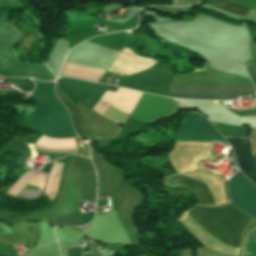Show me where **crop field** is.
<instances>
[{
    "instance_id": "7",
    "label": "crop field",
    "mask_w": 256,
    "mask_h": 256,
    "mask_svg": "<svg viewBox=\"0 0 256 256\" xmlns=\"http://www.w3.org/2000/svg\"><path fill=\"white\" fill-rule=\"evenodd\" d=\"M233 178V177H232ZM231 202L248 215H256V187L240 172L229 181Z\"/></svg>"
},
{
    "instance_id": "1",
    "label": "crop field",
    "mask_w": 256,
    "mask_h": 256,
    "mask_svg": "<svg viewBox=\"0 0 256 256\" xmlns=\"http://www.w3.org/2000/svg\"><path fill=\"white\" fill-rule=\"evenodd\" d=\"M187 211L220 242L235 247H240L243 232L252 220L231 202L222 207L195 206Z\"/></svg>"
},
{
    "instance_id": "12",
    "label": "crop field",
    "mask_w": 256,
    "mask_h": 256,
    "mask_svg": "<svg viewBox=\"0 0 256 256\" xmlns=\"http://www.w3.org/2000/svg\"><path fill=\"white\" fill-rule=\"evenodd\" d=\"M35 173L25 172L24 175L10 188L9 193L16 195ZM46 175L37 174L29 185L42 187ZM40 192L23 190L19 196L38 197Z\"/></svg>"
},
{
    "instance_id": "17",
    "label": "crop field",
    "mask_w": 256,
    "mask_h": 256,
    "mask_svg": "<svg viewBox=\"0 0 256 256\" xmlns=\"http://www.w3.org/2000/svg\"><path fill=\"white\" fill-rule=\"evenodd\" d=\"M54 226H80L81 216L78 215H68L61 216L56 220L52 221Z\"/></svg>"
},
{
    "instance_id": "9",
    "label": "crop field",
    "mask_w": 256,
    "mask_h": 256,
    "mask_svg": "<svg viewBox=\"0 0 256 256\" xmlns=\"http://www.w3.org/2000/svg\"><path fill=\"white\" fill-rule=\"evenodd\" d=\"M80 175L82 199H95L96 175L89 159L74 158Z\"/></svg>"
},
{
    "instance_id": "2",
    "label": "crop field",
    "mask_w": 256,
    "mask_h": 256,
    "mask_svg": "<svg viewBox=\"0 0 256 256\" xmlns=\"http://www.w3.org/2000/svg\"><path fill=\"white\" fill-rule=\"evenodd\" d=\"M34 81L36 88L32 96L38 105V112L30 128L50 137L76 136L70 123L69 112L53 93L54 82Z\"/></svg>"
},
{
    "instance_id": "4",
    "label": "crop field",
    "mask_w": 256,
    "mask_h": 256,
    "mask_svg": "<svg viewBox=\"0 0 256 256\" xmlns=\"http://www.w3.org/2000/svg\"><path fill=\"white\" fill-rule=\"evenodd\" d=\"M18 33L8 22L0 21V76L32 77L48 81L54 78L48 70L17 63L8 55V48Z\"/></svg>"
},
{
    "instance_id": "16",
    "label": "crop field",
    "mask_w": 256,
    "mask_h": 256,
    "mask_svg": "<svg viewBox=\"0 0 256 256\" xmlns=\"http://www.w3.org/2000/svg\"><path fill=\"white\" fill-rule=\"evenodd\" d=\"M215 7L226 10L228 12L240 14V15H248L250 12V8L242 7L239 5H235L229 2H219L217 4H214Z\"/></svg>"
},
{
    "instance_id": "3",
    "label": "crop field",
    "mask_w": 256,
    "mask_h": 256,
    "mask_svg": "<svg viewBox=\"0 0 256 256\" xmlns=\"http://www.w3.org/2000/svg\"><path fill=\"white\" fill-rule=\"evenodd\" d=\"M237 94H255L253 84L216 85L172 83L168 96L187 99L230 100L238 98Z\"/></svg>"
},
{
    "instance_id": "5",
    "label": "crop field",
    "mask_w": 256,
    "mask_h": 256,
    "mask_svg": "<svg viewBox=\"0 0 256 256\" xmlns=\"http://www.w3.org/2000/svg\"><path fill=\"white\" fill-rule=\"evenodd\" d=\"M141 95L138 91L119 88L116 93L106 91L102 99L131 113ZM107 106L108 103L99 99L93 109L103 114ZM127 113L109 104L104 116L124 124L130 114Z\"/></svg>"
},
{
    "instance_id": "11",
    "label": "crop field",
    "mask_w": 256,
    "mask_h": 256,
    "mask_svg": "<svg viewBox=\"0 0 256 256\" xmlns=\"http://www.w3.org/2000/svg\"><path fill=\"white\" fill-rule=\"evenodd\" d=\"M92 160L98 173V198L110 196V173L103 156L91 148Z\"/></svg>"
},
{
    "instance_id": "14",
    "label": "crop field",
    "mask_w": 256,
    "mask_h": 256,
    "mask_svg": "<svg viewBox=\"0 0 256 256\" xmlns=\"http://www.w3.org/2000/svg\"><path fill=\"white\" fill-rule=\"evenodd\" d=\"M58 97L63 101L64 105L70 110L72 114V122L75 126L76 132L79 136L90 135L88 129L84 125V120L81 110L75 105L71 104L67 98L63 96L62 93L56 91Z\"/></svg>"
},
{
    "instance_id": "15",
    "label": "crop field",
    "mask_w": 256,
    "mask_h": 256,
    "mask_svg": "<svg viewBox=\"0 0 256 256\" xmlns=\"http://www.w3.org/2000/svg\"><path fill=\"white\" fill-rule=\"evenodd\" d=\"M67 68L73 69V70H78V71L99 74V75H102L104 72L103 70L87 68V67H82V66H77V65H72V64H69ZM68 69H65L64 72L62 73V75H67V76L82 78V79H88L91 81H97L100 78L99 75L83 73V72H78V71H73V70H68Z\"/></svg>"
},
{
    "instance_id": "6",
    "label": "crop field",
    "mask_w": 256,
    "mask_h": 256,
    "mask_svg": "<svg viewBox=\"0 0 256 256\" xmlns=\"http://www.w3.org/2000/svg\"><path fill=\"white\" fill-rule=\"evenodd\" d=\"M176 140H201L227 143L209 121L202 115L191 112L179 129Z\"/></svg>"
},
{
    "instance_id": "18",
    "label": "crop field",
    "mask_w": 256,
    "mask_h": 256,
    "mask_svg": "<svg viewBox=\"0 0 256 256\" xmlns=\"http://www.w3.org/2000/svg\"><path fill=\"white\" fill-rule=\"evenodd\" d=\"M245 67H246L255 87H256V59L247 63V65Z\"/></svg>"
},
{
    "instance_id": "10",
    "label": "crop field",
    "mask_w": 256,
    "mask_h": 256,
    "mask_svg": "<svg viewBox=\"0 0 256 256\" xmlns=\"http://www.w3.org/2000/svg\"><path fill=\"white\" fill-rule=\"evenodd\" d=\"M164 184L169 186L188 187L196 194L199 200L198 204L214 205L207 187L191 178L182 175H175L165 179Z\"/></svg>"
},
{
    "instance_id": "13",
    "label": "crop field",
    "mask_w": 256,
    "mask_h": 256,
    "mask_svg": "<svg viewBox=\"0 0 256 256\" xmlns=\"http://www.w3.org/2000/svg\"><path fill=\"white\" fill-rule=\"evenodd\" d=\"M40 139L45 140V141H50V142H68V141H75L74 138H68V139H52L49 137H44L42 136ZM42 140H38V144L46 146V147H73L76 146L75 142H68V143H49L45 142ZM39 148L43 149H48V150H76V147L73 148H46L43 146L36 145ZM35 147V150L37 151H42V152H47V153H76V151H48V150H43Z\"/></svg>"
},
{
    "instance_id": "20",
    "label": "crop field",
    "mask_w": 256,
    "mask_h": 256,
    "mask_svg": "<svg viewBox=\"0 0 256 256\" xmlns=\"http://www.w3.org/2000/svg\"><path fill=\"white\" fill-rule=\"evenodd\" d=\"M54 164H55V163H54ZM54 164H53V166H52L51 172H52V170H53ZM51 172H50V174H49V177H48V180H47V182H46V185H45V188H44L43 192H45V189H46V186H47V184H48V181H49Z\"/></svg>"
},
{
    "instance_id": "8",
    "label": "crop field",
    "mask_w": 256,
    "mask_h": 256,
    "mask_svg": "<svg viewBox=\"0 0 256 256\" xmlns=\"http://www.w3.org/2000/svg\"><path fill=\"white\" fill-rule=\"evenodd\" d=\"M231 145L239 168L256 185V160L252 158L248 138H226Z\"/></svg>"
},
{
    "instance_id": "19",
    "label": "crop field",
    "mask_w": 256,
    "mask_h": 256,
    "mask_svg": "<svg viewBox=\"0 0 256 256\" xmlns=\"http://www.w3.org/2000/svg\"><path fill=\"white\" fill-rule=\"evenodd\" d=\"M246 239L256 241V232L251 231Z\"/></svg>"
}]
</instances>
